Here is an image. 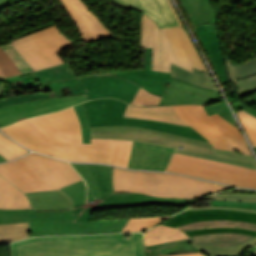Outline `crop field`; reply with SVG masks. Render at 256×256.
Here are the masks:
<instances>
[{"label": "crop field", "mask_w": 256, "mask_h": 256, "mask_svg": "<svg viewBox=\"0 0 256 256\" xmlns=\"http://www.w3.org/2000/svg\"><path fill=\"white\" fill-rule=\"evenodd\" d=\"M72 166L82 175L88 186L87 202L101 198L95 207H85L86 185L83 180L61 188L74 201V207L67 211H44L0 209V224L29 221L30 234H91L120 232L128 219L91 221V212L98 209L131 207L137 205H191L192 199L157 198L141 193H114L112 187L113 168L103 165Z\"/></svg>", "instance_id": "obj_1"}, {"label": "crop field", "mask_w": 256, "mask_h": 256, "mask_svg": "<svg viewBox=\"0 0 256 256\" xmlns=\"http://www.w3.org/2000/svg\"><path fill=\"white\" fill-rule=\"evenodd\" d=\"M1 130L43 154L76 162L110 163L114 139H91V144H81L80 124L73 107L20 121Z\"/></svg>", "instance_id": "obj_2"}, {"label": "crop field", "mask_w": 256, "mask_h": 256, "mask_svg": "<svg viewBox=\"0 0 256 256\" xmlns=\"http://www.w3.org/2000/svg\"><path fill=\"white\" fill-rule=\"evenodd\" d=\"M56 236L11 244L13 256H144L143 234Z\"/></svg>", "instance_id": "obj_3"}, {"label": "crop field", "mask_w": 256, "mask_h": 256, "mask_svg": "<svg viewBox=\"0 0 256 256\" xmlns=\"http://www.w3.org/2000/svg\"><path fill=\"white\" fill-rule=\"evenodd\" d=\"M167 1L180 26L159 29L149 17H141L140 45L153 48L152 70L170 72L172 62L192 73V67L208 72L170 0Z\"/></svg>", "instance_id": "obj_4"}, {"label": "crop field", "mask_w": 256, "mask_h": 256, "mask_svg": "<svg viewBox=\"0 0 256 256\" xmlns=\"http://www.w3.org/2000/svg\"><path fill=\"white\" fill-rule=\"evenodd\" d=\"M91 138H118L175 148L174 152L256 169L253 156L214 149L210 143L141 127L104 126L90 128ZM184 147V150L178 149Z\"/></svg>", "instance_id": "obj_5"}, {"label": "crop field", "mask_w": 256, "mask_h": 256, "mask_svg": "<svg viewBox=\"0 0 256 256\" xmlns=\"http://www.w3.org/2000/svg\"><path fill=\"white\" fill-rule=\"evenodd\" d=\"M113 186L115 192H141L157 197L193 199L232 188L174 174L117 168H114Z\"/></svg>", "instance_id": "obj_6"}, {"label": "crop field", "mask_w": 256, "mask_h": 256, "mask_svg": "<svg viewBox=\"0 0 256 256\" xmlns=\"http://www.w3.org/2000/svg\"><path fill=\"white\" fill-rule=\"evenodd\" d=\"M0 174L24 192L58 189L81 180L70 164L36 153L1 164Z\"/></svg>", "instance_id": "obj_7"}, {"label": "crop field", "mask_w": 256, "mask_h": 256, "mask_svg": "<svg viewBox=\"0 0 256 256\" xmlns=\"http://www.w3.org/2000/svg\"><path fill=\"white\" fill-rule=\"evenodd\" d=\"M176 113L190 126L201 133L214 148L252 155L239 129L219 115L208 116L203 105L173 106Z\"/></svg>", "instance_id": "obj_8"}, {"label": "crop field", "mask_w": 256, "mask_h": 256, "mask_svg": "<svg viewBox=\"0 0 256 256\" xmlns=\"http://www.w3.org/2000/svg\"><path fill=\"white\" fill-rule=\"evenodd\" d=\"M83 104L88 115L90 127L104 125L141 126L207 141L191 127L123 117L128 105L118 100L96 99Z\"/></svg>", "instance_id": "obj_9"}, {"label": "crop field", "mask_w": 256, "mask_h": 256, "mask_svg": "<svg viewBox=\"0 0 256 256\" xmlns=\"http://www.w3.org/2000/svg\"><path fill=\"white\" fill-rule=\"evenodd\" d=\"M167 171L185 173L248 188H256V170L191 156L174 153Z\"/></svg>", "instance_id": "obj_10"}, {"label": "crop field", "mask_w": 256, "mask_h": 256, "mask_svg": "<svg viewBox=\"0 0 256 256\" xmlns=\"http://www.w3.org/2000/svg\"><path fill=\"white\" fill-rule=\"evenodd\" d=\"M12 43L34 71L62 64L63 62L55 53L73 45L56 26Z\"/></svg>", "instance_id": "obj_11"}, {"label": "crop field", "mask_w": 256, "mask_h": 256, "mask_svg": "<svg viewBox=\"0 0 256 256\" xmlns=\"http://www.w3.org/2000/svg\"><path fill=\"white\" fill-rule=\"evenodd\" d=\"M42 89L51 88L53 93H32L0 99V107L49 97H62L87 93L81 77L68 63L33 72Z\"/></svg>", "instance_id": "obj_12"}, {"label": "crop field", "mask_w": 256, "mask_h": 256, "mask_svg": "<svg viewBox=\"0 0 256 256\" xmlns=\"http://www.w3.org/2000/svg\"><path fill=\"white\" fill-rule=\"evenodd\" d=\"M87 95L49 98L0 108V127L36 115L62 110L74 104L87 101Z\"/></svg>", "instance_id": "obj_13"}, {"label": "crop field", "mask_w": 256, "mask_h": 256, "mask_svg": "<svg viewBox=\"0 0 256 256\" xmlns=\"http://www.w3.org/2000/svg\"><path fill=\"white\" fill-rule=\"evenodd\" d=\"M61 2L71 16L84 42L117 37L90 12L81 0H61Z\"/></svg>", "instance_id": "obj_14"}, {"label": "crop field", "mask_w": 256, "mask_h": 256, "mask_svg": "<svg viewBox=\"0 0 256 256\" xmlns=\"http://www.w3.org/2000/svg\"><path fill=\"white\" fill-rule=\"evenodd\" d=\"M89 100L114 97L131 104L140 85L121 77H100L83 80Z\"/></svg>", "instance_id": "obj_15"}, {"label": "crop field", "mask_w": 256, "mask_h": 256, "mask_svg": "<svg viewBox=\"0 0 256 256\" xmlns=\"http://www.w3.org/2000/svg\"><path fill=\"white\" fill-rule=\"evenodd\" d=\"M151 64H152V49L146 48L143 69L116 72V76H122L129 80H132L140 84L141 87L145 88L150 93L162 96L169 84L170 78H172L170 77L171 73L151 71ZM172 79L181 81L176 78H172ZM181 82H184V81H181ZM189 85H192V84H189ZM192 86L199 87L196 85H192ZM199 88L206 89L203 87H199ZM206 90H210V89H206ZM210 91H213V90H210Z\"/></svg>", "instance_id": "obj_16"}, {"label": "crop field", "mask_w": 256, "mask_h": 256, "mask_svg": "<svg viewBox=\"0 0 256 256\" xmlns=\"http://www.w3.org/2000/svg\"><path fill=\"white\" fill-rule=\"evenodd\" d=\"M173 149L134 141L128 168L165 171Z\"/></svg>", "instance_id": "obj_17"}, {"label": "crop field", "mask_w": 256, "mask_h": 256, "mask_svg": "<svg viewBox=\"0 0 256 256\" xmlns=\"http://www.w3.org/2000/svg\"><path fill=\"white\" fill-rule=\"evenodd\" d=\"M223 101L219 93L198 89L172 80L159 105L164 104H210Z\"/></svg>", "instance_id": "obj_18"}, {"label": "crop field", "mask_w": 256, "mask_h": 256, "mask_svg": "<svg viewBox=\"0 0 256 256\" xmlns=\"http://www.w3.org/2000/svg\"><path fill=\"white\" fill-rule=\"evenodd\" d=\"M194 27L204 52L208 60L212 63L221 84L229 83L230 81L225 67L224 56L221 55L219 38L215 25L205 24Z\"/></svg>", "instance_id": "obj_19"}, {"label": "crop field", "mask_w": 256, "mask_h": 256, "mask_svg": "<svg viewBox=\"0 0 256 256\" xmlns=\"http://www.w3.org/2000/svg\"><path fill=\"white\" fill-rule=\"evenodd\" d=\"M213 219H231V220L256 223V213L230 211V210L187 211V212H182L180 214H177L160 224L175 227L178 225L191 223L198 220H213Z\"/></svg>", "instance_id": "obj_20"}, {"label": "crop field", "mask_w": 256, "mask_h": 256, "mask_svg": "<svg viewBox=\"0 0 256 256\" xmlns=\"http://www.w3.org/2000/svg\"><path fill=\"white\" fill-rule=\"evenodd\" d=\"M127 9L138 8L155 20L160 28L178 25L166 0H115Z\"/></svg>", "instance_id": "obj_21"}, {"label": "crop field", "mask_w": 256, "mask_h": 256, "mask_svg": "<svg viewBox=\"0 0 256 256\" xmlns=\"http://www.w3.org/2000/svg\"><path fill=\"white\" fill-rule=\"evenodd\" d=\"M230 81L237 97H242L256 91V58L240 66H234L225 56Z\"/></svg>", "instance_id": "obj_22"}, {"label": "crop field", "mask_w": 256, "mask_h": 256, "mask_svg": "<svg viewBox=\"0 0 256 256\" xmlns=\"http://www.w3.org/2000/svg\"><path fill=\"white\" fill-rule=\"evenodd\" d=\"M31 203V209L66 210L73 206L72 199L61 189L43 192L25 193Z\"/></svg>", "instance_id": "obj_23"}, {"label": "crop field", "mask_w": 256, "mask_h": 256, "mask_svg": "<svg viewBox=\"0 0 256 256\" xmlns=\"http://www.w3.org/2000/svg\"><path fill=\"white\" fill-rule=\"evenodd\" d=\"M124 116L186 125L171 106L140 107L129 105Z\"/></svg>", "instance_id": "obj_24"}, {"label": "crop field", "mask_w": 256, "mask_h": 256, "mask_svg": "<svg viewBox=\"0 0 256 256\" xmlns=\"http://www.w3.org/2000/svg\"><path fill=\"white\" fill-rule=\"evenodd\" d=\"M29 71V66L11 45L0 47V75L10 77Z\"/></svg>", "instance_id": "obj_25"}, {"label": "crop field", "mask_w": 256, "mask_h": 256, "mask_svg": "<svg viewBox=\"0 0 256 256\" xmlns=\"http://www.w3.org/2000/svg\"><path fill=\"white\" fill-rule=\"evenodd\" d=\"M182 6L193 25L217 23L216 12L211 8L209 0H181Z\"/></svg>", "instance_id": "obj_26"}, {"label": "crop field", "mask_w": 256, "mask_h": 256, "mask_svg": "<svg viewBox=\"0 0 256 256\" xmlns=\"http://www.w3.org/2000/svg\"><path fill=\"white\" fill-rule=\"evenodd\" d=\"M255 237L240 233H213L190 237L192 244L232 246L245 243Z\"/></svg>", "instance_id": "obj_27"}, {"label": "crop field", "mask_w": 256, "mask_h": 256, "mask_svg": "<svg viewBox=\"0 0 256 256\" xmlns=\"http://www.w3.org/2000/svg\"><path fill=\"white\" fill-rule=\"evenodd\" d=\"M0 208H30L28 199L23 192L0 176Z\"/></svg>", "instance_id": "obj_28"}, {"label": "crop field", "mask_w": 256, "mask_h": 256, "mask_svg": "<svg viewBox=\"0 0 256 256\" xmlns=\"http://www.w3.org/2000/svg\"><path fill=\"white\" fill-rule=\"evenodd\" d=\"M187 238L188 236L183 231L157 225L145 233V246Z\"/></svg>", "instance_id": "obj_29"}, {"label": "crop field", "mask_w": 256, "mask_h": 256, "mask_svg": "<svg viewBox=\"0 0 256 256\" xmlns=\"http://www.w3.org/2000/svg\"><path fill=\"white\" fill-rule=\"evenodd\" d=\"M197 251L198 250L191 245L189 239L145 247L146 256H160Z\"/></svg>", "instance_id": "obj_30"}, {"label": "crop field", "mask_w": 256, "mask_h": 256, "mask_svg": "<svg viewBox=\"0 0 256 256\" xmlns=\"http://www.w3.org/2000/svg\"><path fill=\"white\" fill-rule=\"evenodd\" d=\"M210 199L212 201H211L209 207L189 208L188 210L231 209V210H242V211L256 212V200L219 199V198H210Z\"/></svg>", "instance_id": "obj_31"}, {"label": "crop field", "mask_w": 256, "mask_h": 256, "mask_svg": "<svg viewBox=\"0 0 256 256\" xmlns=\"http://www.w3.org/2000/svg\"><path fill=\"white\" fill-rule=\"evenodd\" d=\"M171 72H172V75H171L172 77H176L186 82L193 83L199 86L217 90L209 74L202 72L200 70L194 69V74H192L186 70H183L171 64Z\"/></svg>", "instance_id": "obj_32"}, {"label": "crop field", "mask_w": 256, "mask_h": 256, "mask_svg": "<svg viewBox=\"0 0 256 256\" xmlns=\"http://www.w3.org/2000/svg\"><path fill=\"white\" fill-rule=\"evenodd\" d=\"M28 222L0 225V244L30 237Z\"/></svg>", "instance_id": "obj_33"}, {"label": "crop field", "mask_w": 256, "mask_h": 256, "mask_svg": "<svg viewBox=\"0 0 256 256\" xmlns=\"http://www.w3.org/2000/svg\"><path fill=\"white\" fill-rule=\"evenodd\" d=\"M214 227H239V228L256 230V224L246 223V222H237V221H231V220L199 221V222L182 225L175 228L186 231V230H193V229H200V228H214Z\"/></svg>", "instance_id": "obj_34"}, {"label": "crop field", "mask_w": 256, "mask_h": 256, "mask_svg": "<svg viewBox=\"0 0 256 256\" xmlns=\"http://www.w3.org/2000/svg\"><path fill=\"white\" fill-rule=\"evenodd\" d=\"M256 244V238L239 246L233 247H214L205 245H193L198 250L203 251L208 256H240L248 247Z\"/></svg>", "instance_id": "obj_35"}, {"label": "crop field", "mask_w": 256, "mask_h": 256, "mask_svg": "<svg viewBox=\"0 0 256 256\" xmlns=\"http://www.w3.org/2000/svg\"><path fill=\"white\" fill-rule=\"evenodd\" d=\"M167 218L169 217H149V218L129 219L128 223L122 229L121 232L144 231Z\"/></svg>", "instance_id": "obj_36"}, {"label": "crop field", "mask_w": 256, "mask_h": 256, "mask_svg": "<svg viewBox=\"0 0 256 256\" xmlns=\"http://www.w3.org/2000/svg\"><path fill=\"white\" fill-rule=\"evenodd\" d=\"M26 153H28L27 150L13 143L0 133V155L9 160L22 156Z\"/></svg>", "instance_id": "obj_37"}, {"label": "crop field", "mask_w": 256, "mask_h": 256, "mask_svg": "<svg viewBox=\"0 0 256 256\" xmlns=\"http://www.w3.org/2000/svg\"><path fill=\"white\" fill-rule=\"evenodd\" d=\"M236 113L253 146L256 147V117L243 110L236 111Z\"/></svg>", "instance_id": "obj_38"}, {"label": "crop field", "mask_w": 256, "mask_h": 256, "mask_svg": "<svg viewBox=\"0 0 256 256\" xmlns=\"http://www.w3.org/2000/svg\"><path fill=\"white\" fill-rule=\"evenodd\" d=\"M204 106L209 115L217 113L221 117H223L225 120H227L228 122H230L231 124H233L238 128V124L225 101L216 105H204Z\"/></svg>", "instance_id": "obj_39"}, {"label": "crop field", "mask_w": 256, "mask_h": 256, "mask_svg": "<svg viewBox=\"0 0 256 256\" xmlns=\"http://www.w3.org/2000/svg\"><path fill=\"white\" fill-rule=\"evenodd\" d=\"M162 97L152 95L148 91L140 87L137 95L135 96L133 105H158Z\"/></svg>", "instance_id": "obj_40"}, {"label": "crop field", "mask_w": 256, "mask_h": 256, "mask_svg": "<svg viewBox=\"0 0 256 256\" xmlns=\"http://www.w3.org/2000/svg\"><path fill=\"white\" fill-rule=\"evenodd\" d=\"M133 141L121 140L115 165L128 166Z\"/></svg>", "instance_id": "obj_41"}, {"label": "crop field", "mask_w": 256, "mask_h": 256, "mask_svg": "<svg viewBox=\"0 0 256 256\" xmlns=\"http://www.w3.org/2000/svg\"><path fill=\"white\" fill-rule=\"evenodd\" d=\"M79 120L81 124V129H82V137H83V142L82 143H90V133H89V124H88V119L86 112L84 110L83 104H78L74 106Z\"/></svg>", "instance_id": "obj_42"}, {"label": "crop field", "mask_w": 256, "mask_h": 256, "mask_svg": "<svg viewBox=\"0 0 256 256\" xmlns=\"http://www.w3.org/2000/svg\"><path fill=\"white\" fill-rule=\"evenodd\" d=\"M213 232H240L246 233L250 235L256 236V231L247 230V229H238V228H215V229H200L185 232L188 236L197 235V234H205V233H213Z\"/></svg>", "instance_id": "obj_43"}, {"label": "crop field", "mask_w": 256, "mask_h": 256, "mask_svg": "<svg viewBox=\"0 0 256 256\" xmlns=\"http://www.w3.org/2000/svg\"><path fill=\"white\" fill-rule=\"evenodd\" d=\"M20 77L23 79V82L27 88H38L37 84L39 83L34 77L33 73L21 75Z\"/></svg>", "instance_id": "obj_44"}, {"label": "crop field", "mask_w": 256, "mask_h": 256, "mask_svg": "<svg viewBox=\"0 0 256 256\" xmlns=\"http://www.w3.org/2000/svg\"><path fill=\"white\" fill-rule=\"evenodd\" d=\"M216 196H246V197H256V193H221L213 194Z\"/></svg>", "instance_id": "obj_45"}, {"label": "crop field", "mask_w": 256, "mask_h": 256, "mask_svg": "<svg viewBox=\"0 0 256 256\" xmlns=\"http://www.w3.org/2000/svg\"><path fill=\"white\" fill-rule=\"evenodd\" d=\"M119 142H120V140L115 139L114 150H113V156H112V160H111V163H110V164H112V165H114V163H115V159H116V155H117V150H118Z\"/></svg>", "instance_id": "obj_46"}, {"label": "crop field", "mask_w": 256, "mask_h": 256, "mask_svg": "<svg viewBox=\"0 0 256 256\" xmlns=\"http://www.w3.org/2000/svg\"><path fill=\"white\" fill-rule=\"evenodd\" d=\"M235 107L237 108V110L244 109L245 111H247V112L256 116V111L255 110H252L251 108L246 107L243 104H236Z\"/></svg>", "instance_id": "obj_47"}, {"label": "crop field", "mask_w": 256, "mask_h": 256, "mask_svg": "<svg viewBox=\"0 0 256 256\" xmlns=\"http://www.w3.org/2000/svg\"><path fill=\"white\" fill-rule=\"evenodd\" d=\"M170 256H206L203 252L197 253H188V254H180V255H170Z\"/></svg>", "instance_id": "obj_48"}, {"label": "crop field", "mask_w": 256, "mask_h": 256, "mask_svg": "<svg viewBox=\"0 0 256 256\" xmlns=\"http://www.w3.org/2000/svg\"><path fill=\"white\" fill-rule=\"evenodd\" d=\"M10 4H12L10 0H0V10L6 8Z\"/></svg>", "instance_id": "obj_49"}, {"label": "crop field", "mask_w": 256, "mask_h": 256, "mask_svg": "<svg viewBox=\"0 0 256 256\" xmlns=\"http://www.w3.org/2000/svg\"><path fill=\"white\" fill-rule=\"evenodd\" d=\"M99 76H115V72L98 74V75H92V76H86V77H82V78L85 79V78L99 77Z\"/></svg>", "instance_id": "obj_50"}, {"label": "crop field", "mask_w": 256, "mask_h": 256, "mask_svg": "<svg viewBox=\"0 0 256 256\" xmlns=\"http://www.w3.org/2000/svg\"><path fill=\"white\" fill-rule=\"evenodd\" d=\"M244 102H246L248 105L253 106L254 104H256V95L248 98L247 100H245Z\"/></svg>", "instance_id": "obj_51"}, {"label": "crop field", "mask_w": 256, "mask_h": 256, "mask_svg": "<svg viewBox=\"0 0 256 256\" xmlns=\"http://www.w3.org/2000/svg\"><path fill=\"white\" fill-rule=\"evenodd\" d=\"M226 192H256V191L244 190V189H234V190H230V191H226Z\"/></svg>", "instance_id": "obj_52"}, {"label": "crop field", "mask_w": 256, "mask_h": 256, "mask_svg": "<svg viewBox=\"0 0 256 256\" xmlns=\"http://www.w3.org/2000/svg\"><path fill=\"white\" fill-rule=\"evenodd\" d=\"M248 252H250L251 254H253L254 256H256V246L251 248Z\"/></svg>", "instance_id": "obj_53"}, {"label": "crop field", "mask_w": 256, "mask_h": 256, "mask_svg": "<svg viewBox=\"0 0 256 256\" xmlns=\"http://www.w3.org/2000/svg\"><path fill=\"white\" fill-rule=\"evenodd\" d=\"M208 197H215V196H208ZM219 198H244V199H256V198H245V197H219Z\"/></svg>", "instance_id": "obj_54"}, {"label": "crop field", "mask_w": 256, "mask_h": 256, "mask_svg": "<svg viewBox=\"0 0 256 256\" xmlns=\"http://www.w3.org/2000/svg\"><path fill=\"white\" fill-rule=\"evenodd\" d=\"M6 161L3 157L0 156V162Z\"/></svg>", "instance_id": "obj_55"}, {"label": "crop field", "mask_w": 256, "mask_h": 256, "mask_svg": "<svg viewBox=\"0 0 256 256\" xmlns=\"http://www.w3.org/2000/svg\"><path fill=\"white\" fill-rule=\"evenodd\" d=\"M256 149V148H255Z\"/></svg>", "instance_id": "obj_56"}]
</instances>
